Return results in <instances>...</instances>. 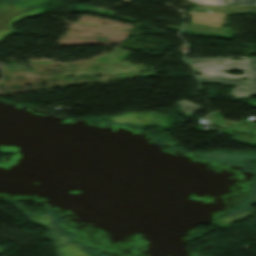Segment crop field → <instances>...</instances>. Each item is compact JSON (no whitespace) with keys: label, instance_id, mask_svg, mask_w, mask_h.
Masks as SVG:
<instances>
[{"label":"crop field","instance_id":"crop-field-1","mask_svg":"<svg viewBox=\"0 0 256 256\" xmlns=\"http://www.w3.org/2000/svg\"><path fill=\"white\" fill-rule=\"evenodd\" d=\"M245 60L233 63L231 58H216V59H188L191 61L189 65L194 68L202 76H197L200 83L223 84L224 86H239L233 89V96L237 99L248 97L249 94H256V59H247V57H236ZM223 60V64H217ZM231 63L232 65H228ZM246 63V65H242ZM221 70H238L244 72L243 76L228 75ZM211 77H216L212 79ZM242 77H248V81L241 80ZM237 78V79H235ZM216 80V81H214ZM255 88V90H252ZM247 90L248 92L237 95L236 93ZM244 95V96H242Z\"/></svg>","mask_w":256,"mask_h":256},{"label":"crop field","instance_id":"crop-field-2","mask_svg":"<svg viewBox=\"0 0 256 256\" xmlns=\"http://www.w3.org/2000/svg\"><path fill=\"white\" fill-rule=\"evenodd\" d=\"M232 130H239L241 132H244V133H250L252 135H255L254 138H250V137H247V136H244V135H240L238 137H234L232 139L238 141V142H241V143H245V144H248L250 146H256V131H252L254 133H251V132H248L247 129H244V128H236V129H229V130H224L223 132L224 133H227V134H233ZM225 131H228V132H225Z\"/></svg>","mask_w":256,"mask_h":256},{"label":"crop field","instance_id":"crop-field-3","mask_svg":"<svg viewBox=\"0 0 256 256\" xmlns=\"http://www.w3.org/2000/svg\"><path fill=\"white\" fill-rule=\"evenodd\" d=\"M179 103H182V104H181L182 107L179 108L178 110L181 111V112H182L184 115H186L187 117L202 108V107H199V106H197V105L191 104V103L186 102V101H183V100H181V101L178 102L177 104H179ZM179 105H180V104H179Z\"/></svg>","mask_w":256,"mask_h":256},{"label":"crop field","instance_id":"crop-field-4","mask_svg":"<svg viewBox=\"0 0 256 256\" xmlns=\"http://www.w3.org/2000/svg\"><path fill=\"white\" fill-rule=\"evenodd\" d=\"M197 2V5H225V0H189Z\"/></svg>","mask_w":256,"mask_h":256},{"label":"crop field","instance_id":"crop-field-5","mask_svg":"<svg viewBox=\"0 0 256 256\" xmlns=\"http://www.w3.org/2000/svg\"><path fill=\"white\" fill-rule=\"evenodd\" d=\"M248 126L250 127H255L256 128V124L254 123H248L247 121L243 122V123H237L235 125H229L227 127H224L225 129H228V128H236V127H244V128H248ZM248 129H251V128H248ZM253 130V129H251ZM256 130V129H255Z\"/></svg>","mask_w":256,"mask_h":256},{"label":"crop field","instance_id":"crop-field-6","mask_svg":"<svg viewBox=\"0 0 256 256\" xmlns=\"http://www.w3.org/2000/svg\"><path fill=\"white\" fill-rule=\"evenodd\" d=\"M256 5V0H239V6Z\"/></svg>","mask_w":256,"mask_h":256},{"label":"crop field","instance_id":"crop-field-7","mask_svg":"<svg viewBox=\"0 0 256 256\" xmlns=\"http://www.w3.org/2000/svg\"><path fill=\"white\" fill-rule=\"evenodd\" d=\"M227 5H238V0H227Z\"/></svg>","mask_w":256,"mask_h":256},{"label":"crop field","instance_id":"crop-field-8","mask_svg":"<svg viewBox=\"0 0 256 256\" xmlns=\"http://www.w3.org/2000/svg\"><path fill=\"white\" fill-rule=\"evenodd\" d=\"M250 101L246 102V104H249V105H252V106H255L256 107V101L249 98Z\"/></svg>","mask_w":256,"mask_h":256}]
</instances>
